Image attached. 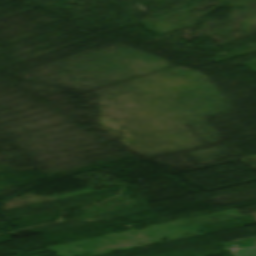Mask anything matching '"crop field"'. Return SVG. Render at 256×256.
Returning <instances> with one entry per match:
<instances>
[{
    "mask_svg": "<svg viewBox=\"0 0 256 256\" xmlns=\"http://www.w3.org/2000/svg\"><path fill=\"white\" fill-rule=\"evenodd\" d=\"M235 254L238 256H256V248L237 250Z\"/></svg>",
    "mask_w": 256,
    "mask_h": 256,
    "instance_id": "1",
    "label": "crop field"
}]
</instances>
